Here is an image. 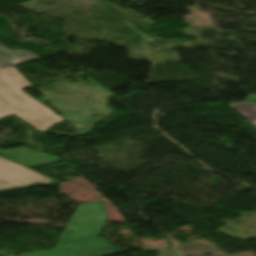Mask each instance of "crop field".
<instances>
[{
	"mask_svg": "<svg viewBox=\"0 0 256 256\" xmlns=\"http://www.w3.org/2000/svg\"><path fill=\"white\" fill-rule=\"evenodd\" d=\"M245 101L256 102V94L249 95Z\"/></svg>",
	"mask_w": 256,
	"mask_h": 256,
	"instance_id": "crop-field-8",
	"label": "crop field"
},
{
	"mask_svg": "<svg viewBox=\"0 0 256 256\" xmlns=\"http://www.w3.org/2000/svg\"><path fill=\"white\" fill-rule=\"evenodd\" d=\"M0 58L9 62L14 66H18L36 59H39L36 55L29 51L9 50L0 44Z\"/></svg>",
	"mask_w": 256,
	"mask_h": 256,
	"instance_id": "crop-field-5",
	"label": "crop field"
},
{
	"mask_svg": "<svg viewBox=\"0 0 256 256\" xmlns=\"http://www.w3.org/2000/svg\"><path fill=\"white\" fill-rule=\"evenodd\" d=\"M31 87L15 67L0 69V119L14 114L45 132L64 119L22 90Z\"/></svg>",
	"mask_w": 256,
	"mask_h": 256,
	"instance_id": "crop-field-1",
	"label": "crop field"
},
{
	"mask_svg": "<svg viewBox=\"0 0 256 256\" xmlns=\"http://www.w3.org/2000/svg\"><path fill=\"white\" fill-rule=\"evenodd\" d=\"M0 151H1V149H0Z\"/></svg>",
	"mask_w": 256,
	"mask_h": 256,
	"instance_id": "crop-field-10",
	"label": "crop field"
},
{
	"mask_svg": "<svg viewBox=\"0 0 256 256\" xmlns=\"http://www.w3.org/2000/svg\"><path fill=\"white\" fill-rule=\"evenodd\" d=\"M0 256H3V255L0 254Z\"/></svg>",
	"mask_w": 256,
	"mask_h": 256,
	"instance_id": "crop-field-9",
	"label": "crop field"
},
{
	"mask_svg": "<svg viewBox=\"0 0 256 256\" xmlns=\"http://www.w3.org/2000/svg\"><path fill=\"white\" fill-rule=\"evenodd\" d=\"M5 67H12V65L0 59V68H5Z\"/></svg>",
	"mask_w": 256,
	"mask_h": 256,
	"instance_id": "crop-field-7",
	"label": "crop field"
},
{
	"mask_svg": "<svg viewBox=\"0 0 256 256\" xmlns=\"http://www.w3.org/2000/svg\"><path fill=\"white\" fill-rule=\"evenodd\" d=\"M244 117H246L252 124L256 126V104L250 102H242L231 105Z\"/></svg>",
	"mask_w": 256,
	"mask_h": 256,
	"instance_id": "crop-field-6",
	"label": "crop field"
},
{
	"mask_svg": "<svg viewBox=\"0 0 256 256\" xmlns=\"http://www.w3.org/2000/svg\"><path fill=\"white\" fill-rule=\"evenodd\" d=\"M0 155L28 168L62 161L60 158L25 147L2 151Z\"/></svg>",
	"mask_w": 256,
	"mask_h": 256,
	"instance_id": "crop-field-4",
	"label": "crop field"
},
{
	"mask_svg": "<svg viewBox=\"0 0 256 256\" xmlns=\"http://www.w3.org/2000/svg\"><path fill=\"white\" fill-rule=\"evenodd\" d=\"M108 218L102 201L79 205L55 246L62 247L99 238Z\"/></svg>",
	"mask_w": 256,
	"mask_h": 256,
	"instance_id": "crop-field-2",
	"label": "crop field"
},
{
	"mask_svg": "<svg viewBox=\"0 0 256 256\" xmlns=\"http://www.w3.org/2000/svg\"><path fill=\"white\" fill-rule=\"evenodd\" d=\"M56 183L58 181L0 156V192Z\"/></svg>",
	"mask_w": 256,
	"mask_h": 256,
	"instance_id": "crop-field-3",
	"label": "crop field"
}]
</instances>
